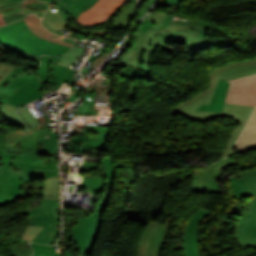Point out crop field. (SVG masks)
<instances>
[{
    "instance_id": "crop-field-1",
    "label": "crop field",
    "mask_w": 256,
    "mask_h": 256,
    "mask_svg": "<svg viewBox=\"0 0 256 256\" xmlns=\"http://www.w3.org/2000/svg\"><path fill=\"white\" fill-rule=\"evenodd\" d=\"M254 73H256V58L229 62L217 69H214L209 73L208 88L173 107L170 115L176 116L179 114L196 121H209L224 116L237 119L240 124L235 129L228 141L224 153V157H226L231 154L233 145L254 107L225 103L223 112L195 110L199 108L203 103H210L214 90L220 79L227 81Z\"/></svg>"
},
{
    "instance_id": "crop-field-2",
    "label": "crop field",
    "mask_w": 256,
    "mask_h": 256,
    "mask_svg": "<svg viewBox=\"0 0 256 256\" xmlns=\"http://www.w3.org/2000/svg\"><path fill=\"white\" fill-rule=\"evenodd\" d=\"M212 30L197 25H168L161 30H154L148 34H137V43L126 52L120 62L113 64H130L137 69L151 75L149 61L155 48L161 44L186 42L193 39L206 37V31Z\"/></svg>"
},
{
    "instance_id": "crop-field-3",
    "label": "crop field",
    "mask_w": 256,
    "mask_h": 256,
    "mask_svg": "<svg viewBox=\"0 0 256 256\" xmlns=\"http://www.w3.org/2000/svg\"><path fill=\"white\" fill-rule=\"evenodd\" d=\"M57 163L58 161L2 153L0 156V175L1 177L10 176L13 187L8 196L0 195V206L15 201L20 193L21 183L57 175Z\"/></svg>"
},
{
    "instance_id": "crop-field-4",
    "label": "crop field",
    "mask_w": 256,
    "mask_h": 256,
    "mask_svg": "<svg viewBox=\"0 0 256 256\" xmlns=\"http://www.w3.org/2000/svg\"><path fill=\"white\" fill-rule=\"evenodd\" d=\"M234 176L245 180L246 187L254 198L245 205L234 202L230 206L227 213L241 217L233 231V238L242 248H256V169L239 172Z\"/></svg>"
},
{
    "instance_id": "crop-field-5",
    "label": "crop field",
    "mask_w": 256,
    "mask_h": 256,
    "mask_svg": "<svg viewBox=\"0 0 256 256\" xmlns=\"http://www.w3.org/2000/svg\"><path fill=\"white\" fill-rule=\"evenodd\" d=\"M0 45L11 52L20 47L39 56L62 55L70 49L35 36L24 20L0 28Z\"/></svg>"
},
{
    "instance_id": "crop-field-6",
    "label": "crop field",
    "mask_w": 256,
    "mask_h": 256,
    "mask_svg": "<svg viewBox=\"0 0 256 256\" xmlns=\"http://www.w3.org/2000/svg\"><path fill=\"white\" fill-rule=\"evenodd\" d=\"M104 219L101 217L80 218L79 224L65 234V256L90 254L98 239Z\"/></svg>"
},
{
    "instance_id": "crop-field-7",
    "label": "crop field",
    "mask_w": 256,
    "mask_h": 256,
    "mask_svg": "<svg viewBox=\"0 0 256 256\" xmlns=\"http://www.w3.org/2000/svg\"><path fill=\"white\" fill-rule=\"evenodd\" d=\"M56 200H43L40 208L22 210V214H29L27 224L45 226L41 233L34 238V242L50 244L59 229L58 207Z\"/></svg>"
},
{
    "instance_id": "crop-field-8",
    "label": "crop field",
    "mask_w": 256,
    "mask_h": 256,
    "mask_svg": "<svg viewBox=\"0 0 256 256\" xmlns=\"http://www.w3.org/2000/svg\"><path fill=\"white\" fill-rule=\"evenodd\" d=\"M28 69L0 64V101L6 102L24 85L38 81L34 74L27 75Z\"/></svg>"
},
{
    "instance_id": "crop-field-9",
    "label": "crop field",
    "mask_w": 256,
    "mask_h": 256,
    "mask_svg": "<svg viewBox=\"0 0 256 256\" xmlns=\"http://www.w3.org/2000/svg\"><path fill=\"white\" fill-rule=\"evenodd\" d=\"M44 87L40 81L27 85L19 90L18 92L11 97L8 104L3 105L1 112L10 123L23 126L24 130L27 129V126L20 120L16 114V106H22L30 101L44 97L43 94L39 91Z\"/></svg>"
},
{
    "instance_id": "crop-field-10",
    "label": "crop field",
    "mask_w": 256,
    "mask_h": 256,
    "mask_svg": "<svg viewBox=\"0 0 256 256\" xmlns=\"http://www.w3.org/2000/svg\"><path fill=\"white\" fill-rule=\"evenodd\" d=\"M232 165L233 162L227 157L202 169L195 175L191 192L223 193L215 179Z\"/></svg>"
},
{
    "instance_id": "crop-field-11",
    "label": "crop field",
    "mask_w": 256,
    "mask_h": 256,
    "mask_svg": "<svg viewBox=\"0 0 256 256\" xmlns=\"http://www.w3.org/2000/svg\"><path fill=\"white\" fill-rule=\"evenodd\" d=\"M109 127L89 126L81 136L73 135L72 152L83 154L90 153V148L103 150L106 147V137L110 134Z\"/></svg>"
},
{
    "instance_id": "crop-field-12",
    "label": "crop field",
    "mask_w": 256,
    "mask_h": 256,
    "mask_svg": "<svg viewBox=\"0 0 256 256\" xmlns=\"http://www.w3.org/2000/svg\"><path fill=\"white\" fill-rule=\"evenodd\" d=\"M172 218L171 215L164 225L150 222L142 235L137 256H160L164 234Z\"/></svg>"
},
{
    "instance_id": "crop-field-13",
    "label": "crop field",
    "mask_w": 256,
    "mask_h": 256,
    "mask_svg": "<svg viewBox=\"0 0 256 256\" xmlns=\"http://www.w3.org/2000/svg\"><path fill=\"white\" fill-rule=\"evenodd\" d=\"M225 102L256 106V74L231 81Z\"/></svg>"
},
{
    "instance_id": "crop-field-14",
    "label": "crop field",
    "mask_w": 256,
    "mask_h": 256,
    "mask_svg": "<svg viewBox=\"0 0 256 256\" xmlns=\"http://www.w3.org/2000/svg\"><path fill=\"white\" fill-rule=\"evenodd\" d=\"M211 213L199 208L187 223L184 232V253L185 256H200L198 228L203 219Z\"/></svg>"
},
{
    "instance_id": "crop-field-15",
    "label": "crop field",
    "mask_w": 256,
    "mask_h": 256,
    "mask_svg": "<svg viewBox=\"0 0 256 256\" xmlns=\"http://www.w3.org/2000/svg\"><path fill=\"white\" fill-rule=\"evenodd\" d=\"M123 1L124 0H99L92 8L80 14L78 19H75L84 25L102 23Z\"/></svg>"
},
{
    "instance_id": "crop-field-16",
    "label": "crop field",
    "mask_w": 256,
    "mask_h": 256,
    "mask_svg": "<svg viewBox=\"0 0 256 256\" xmlns=\"http://www.w3.org/2000/svg\"><path fill=\"white\" fill-rule=\"evenodd\" d=\"M47 103H49V101ZM37 118L42 123L39 128L38 138H37V144L39 147L40 154H49L54 157V158H49V159L59 160L58 135L51 134L50 128L48 127V125L47 126L43 125V124H47L50 122L49 118L46 114L41 117H37ZM46 135H48V139H45Z\"/></svg>"
},
{
    "instance_id": "crop-field-17",
    "label": "crop field",
    "mask_w": 256,
    "mask_h": 256,
    "mask_svg": "<svg viewBox=\"0 0 256 256\" xmlns=\"http://www.w3.org/2000/svg\"><path fill=\"white\" fill-rule=\"evenodd\" d=\"M56 8V11H51V8ZM72 17L69 16L66 12L60 9V7L56 6L55 4H52L47 13L45 14L42 24L43 26L55 33L57 31H61L62 29L68 27L67 22L71 19Z\"/></svg>"
},
{
    "instance_id": "crop-field-18",
    "label": "crop field",
    "mask_w": 256,
    "mask_h": 256,
    "mask_svg": "<svg viewBox=\"0 0 256 256\" xmlns=\"http://www.w3.org/2000/svg\"><path fill=\"white\" fill-rule=\"evenodd\" d=\"M39 126L40 125L30 127V130L23 134L20 145L22 155L38 157L39 152L36 144V138Z\"/></svg>"
},
{
    "instance_id": "crop-field-19",
    "label": "crop field",
    "mask_w": 256,
    "mask_h": 256,
    "mask_svg": "<svg viewBox=\"0 0 256 256\" xmlns=\"http://www.w3.org/2000/svg\"><path fill=\"white\" fill-rule=\"evenodd\" d=\"M74 72L75 70L51 63L50 80L48 81L51 85L49 87L58 90L63 80L73 83L72 75Z\"/></svg>"
},
{
    "instance_id": "crop-field-20",
    "label": "crop field",
    "mask_w": 256,
    "mask_h": 256,
    "mask_svg": "<svg viewBox=\"0 0 256 256\" xmlns=\"http://www.w3.org/2000/svg\"><path fill=\"white\" fill-rule=\"evenodd\" d=\"M98 0H80L75 3L74 0H55L60 7H62L69 14L78 17V15L90 7H92Z\"/></svg>"
},
{
    "instance_id": "crop-field-21",
    "label": "crop field",
    "mask_w": 256,
    "mask_h": 256,
    "mask_svg": "<svg viewBox=\"0 0 256 256\" xmlns=\"http://www.w3.org/2000/svg\"><path fill=\"white\" fill-rule=\"evenodd\" d=\"M229 84L220 80L210 105L203 104L198 110L222 111Z\"/></svg>"
},
{
    "instance_id": "crop-field-22",
    "label": "crop field",
    "mask_w": 256,
    "mask_h": 256,
    "mask_svg": "<svg viewBox=\"0 0 256 256\" xmlns=\"http://www.w3.org/2000/svg\"><path fill=\"white\" fill-rule=\"evenodd\" d=\"M25 22L27 23L28 27L32 30V32L34 34H36L37 36L44 38L46 40L49 41H53L56 42L58 44H62V45H66V46H70L72 47V44H68V43H64L61 41H58L56 39L51 38L53 34H51L50 32L46 31L40 24V18H38L35 15H29L27 18L24 19Z\"/></svg>"
},
{
    "instance_id": "crop-field-23",
    "label": "crop field",
    "mask_w": 256,
    "mask_h": 256,
    "mask_svg": "<svg viewBox=\"0 0 256 256\" xmlns=\"http://www.w3.org/2000/svg\"><path fill=\"white\" fill-rule=\"evenodd\" d=\"M136 3H131L124 11L116 14L111 29H129L131 19L135 15Z\"/></svg>"
},
{
    "instance_id": "crop-field-24",
    "label": "crop field",
    "mask_w": 256,
    "mask_h": 256,
    "mask_svg": "<svg viewBox=\"0 0 256 256\" xmlns=\"http://www.w3.org/2000/svg\"><path fill=\"white\" fill-rule=\"evenodd\" d=\"M256 148V127L242 132L234 153Z\"/></svg>"
},
{
    "instance_id": "crop-field-25",
    "label": "crop field",
    "mask_w": 256,
    "mask_h": 256,
    "mask_svg": "<svg viewBox=\"0 0 256 256\" xmlns=\"http://www.w3.org/2000/svg\"><path fill=\"white\" fill-rule=\"evenodd\" d=\"M102 163L104 165V171L106 172V176H107L106 184H107L108 190L107 192L103 193L101 199L104 201H109V197L112 190V183H113L115 168L111 158H102Z\"/></svg>"
},
{
    "instance_id": "crop-field-26",
    "label": "crop field",
    "mask_w": 256,
    "mask_h": 256,
    "mask_svg": "<svg viewBox=\"0 0 256 256\" xmlns=\"http://www.w3.org/2000/svg\"><path fill=\"white\" fill-rule=\"evenodd\" d=\"M228 186L232 197H238V199H240L249 196L245 187V183L241 179L233 176L230 177L228 179Z\"/></svg>"
},
{
    "instance_id": "crop-field-27",
    "label": "crop field",
    "mask_w": 256,
    "mask_h": 256,
    "mask_svg": "<svg viewBox=\"0 0 256 256\" xmlns=\"http://www.w3.org/2000/svg\"><path fill=\"white\" fill-rule=\"evenodd\" d=\"M63 56H60V57L42 56V65L40 66L36 74L42 80L43 83L49 79L50 62L57 64L62 59Z\"/></svg>"
},
{
    "instance_id": "crop-field-28",
    "label": "crop field",
    "mask_w": 256,
    "mask_h": 256,
    "mask_svg": "<svg viewBox=\"0 0 256 256\" xmlns=\"http://www.w3.org/2000/svg\"><path fill=\"white\" fill-rule=\"evenodd\" d=\"M22 134V132H8L5 153L21 155L19 145Z\"/></svg>"
},
{
    "instance_id": "crop-field-29",
    "label": "crop field",
    "mask_w": 256,
    "mask_h": 256,
    "mask_svg": "<svg viewBox=\"0 0 256 256\" xmlns=\"http://www.w3.org/2000/svg\"><path fill=\"white\" fill-rule=\"evenodd\" d=\"M48 6V3L27 0L24 4L23 12H25L26 14L36 13L37 15L42 17L45 14V10Z\"/></svg>"
},
{
    "instance_id": "crop-field-30",
    "label": "crop field",
    "mask_w": 256,
    "mask_h": 256,
    "mask_svg": "<svg viewBox=\"0 0 256 256\" xmlns=\"http://www.w3.org/2000/svg\"><path fill=\"white\" fill-rule=\"evenodd\" d=\"M47 185L43 199H59V177L46 178Z\"/></svg>"
},
{
    "instance_id": "crop-field-31",
    "label": "crop field",
    "mask_w": 256,
    "mask_h": 256,
    "mask_svg": "<svg viewBox=\"0 0 256 256\" xmlns=\"http://www.w3.org/2000/svg\"><path fill=\"white\" fill-rule=\"evenodd\" d=\"M28 240L19 239V244L12 245V254L11 256H30L32 249L29 245Z\"/></svg>"
},
{
    "instance_id": "crop-field-32",
    "label": "crop field",
    "mask_w": 256,
    "mask_h": 256,
    "mask_svg": "<svg viewBox=\"0 0 256 256\" xmlns=\"http://www.w3.org/2000/svg\"><path fill=\"white\" fill-rule=\"evenodd\" d=\"M214 43H216V42H214L212 39L207 37V38H202V39L186 42L185 44H186L189 51L195 53V52H197L201 49H204V48H206V47H208V46H210Z\"/></svg>"
},
{
    "instance_id": "crop-field-33",
    "label": "crop field",
    "mask_w": 256,
    "mask_h": 256,
    "mask_svg": "<svg viewBox=\"0 0 256 256\" xmlns=\"http://www.w3.org/2000/svg\"><path fill=\"white\" fill-rule=\"evenodd\" d=\"M5 141H6V136H2L0 133V153L5 150ZM12 187V182L9 177L5 178H0V194H6L8 195L10 189Z\"/></svg>"
},
{
    "instance_id": "crop-field-34",
    "label": "crop field",
    "mask_w": 256,
    "mask_h": 256,
    "mask_svg": "<svg viewBox=\"0 0 256 256\" xmlns=\"http://www.w3.org/2000/svg\"><path fill=\"white\" fill-rule=\"evenodd\" d=\"M84 47L74 46L63 59L58 63L59 65H63L68 67L74 60H76L83 52Z\"/></svg>"
},
{
    "instance_id": "crop-field-35",
    "label": "crop field",
    "mask_w": 256,
    "mask_h": 256,
    "mask_svg": "<svg viewBox=\"0 0 256 256\" xmlns=\"http://www.w3.org/2000/svg\"><path fill=\"white\" fill-rule=\"evenodd\" d=\"M85 99H84V103L81 104L79 106V109L80 110H76L77 113H75L74 115L76 114H95L93 108H92V94H85Z\"/></svg>"
},
{
    "instance_id": "crop-field-36",
    "label": "crop field",
    "mask_w": 256,
    "mask_h": 256,
    "mask_svg": "<svg viewBox=\"0 0 256 256\" xmlns=\"http://www.w3.org/2000/svg\"><path fill=\"white\" fill-rule=\"evenodd\" d=\"M85 180L80 187H87L89 189L101 191L103 186L102 178L99 177H84Z\"/></svg>"
},
{
    "instance_id": "crop-field-37",
    "label": "crop field",
    "mask_w": 256,
    "mask_h": 256,
    "mask_svg": "<svg viewBox=\"0 0 256 256\" xmlns=\"http://www.w3.org/2000/svg\"><path fill=\"white\" fill-rule=\"evenodd\" d=\"M119 76L123 77V78H126L128 80H132V79H135V78H146V77H150L144 73H141L139 72L138 70L132 68V67H129L127 66L120 74Z\"/></svg>"
},
{
    "instance_id": "crop-field-38",
    "label": "crop field",
    "mask_w": 256,
    "mask_h": 256,
    "mask_svg": "<svg viewBox=\"0 0 256 256\" xmlns=\"http://www.w3.org/2000/svg\"><path fill=\"white\" fill-rule=\"evenodd\" d=\"M20 117L25 121L27 122L30 126H33V125H37L39 124L40 122L38 121L37 118H35V116L32 114V112L28 109V108H21L19 111H18Z\"/></svg>"
},
{
    "instance_id": "crop-field-39",
    "label": "crop field",
    "mask_w": 256,
    "mask_h": 256,
    "mask_svg": "<svg viewBox=\"0 0 256 256\" xmlns=\"http://www.w3.org/2000/svg\"><path fill=\"white\" fill-rule=\"evenodd\" d=\"M35 253H45V256H56L53 246L31 243Z\"/></svg>"
},
{
    "instance_id": "crop-field-40",
    "label": "crop field",
    "mask_w": 256,
    "mask_h": 256,
    "mask_svg": "<svg viewBox=\"0 0 256 256\" xmlns=\"http://www.w3.org/2000/svg\"><path fill=\"white\" fill-rule=\"evenodd\" d=\"M164 17H165L164 14H149V15H147L146 18L142 21V23L154 21V27L149 30H146L145 33L152 31L154 29H158L160 24L162 23Z\"/></svg>"
},
{
    "instance_id": "crop-field-41",
    "label": "crop field",
    "mask_w": 256,
    "mask_h": 256,
    "mask_svg": "<svg viewBox=\"0 0 256 256\" xmlns=\"http://www.w3.org/2000/svg\"><path fill=\"white\" fill-rule=\"evenodd\" d=\"M41 229L42 227H39V226L26 225L24 229L25 232L22 234L20 238H24L32 241L33 238L40 233Z\"/></svg>"
},
{
    "instance_id": "crop-field-42",
    "label": "crop field",
    "mask_w": 256,
    "mask_h": 256,
    "mask_svg": "<svg viewBox=\"0 0 256 256\" xmlns=\"http://www.w3.org/2000/svg\"><path fill=\"white\" fill-rule=\"evenodd\" d=\"M23 1L7 4L0 6V11L3 14H9V13H15V12H20L22 9Z\"/></svg>"
},
{
    "instance_id": "crop-field-43",
    "label": "crop field",
    "mask_w": 256,
    "mask_h": 256,
    "mask_svg": "<svg viewBox=\"0 0 256 256\" xmlns=\"http://www.w3.org/2000/svg\"><path fill=\"white\" fill-rule=\"evenodd\" d=\"M153 2H154V0H139V3H138V15L136 17L135 24L147 12V10L151 7Z\"/></svg>"
},
{
    "instance_id": "crop-field-44",
    "label": "crop field",
    "mask_w": 256,
    "mask_h": 256,
    "mask_svg": "<svg viewBox=\"0 0 256 256\" xmlns=\"http://www.w3.org/2000/svg\"><path fill=\"white\" fill-rule=\"evenodd\" d=\"M15 52L24 56V57H26V58H28V59H30V60H32V61H34V62H37L40 65V57L39 56L28 53V52H26V51H24L20 48L18 50H16Z\"/></svg>"
},
{
    "instance_id": "crop-field-45",
    "label": "crop field",
    "mask_w": 256,
    "mask_h": 256,
    "mask_svg": "<svg viewBox=\"0 0 256 256\" xmlns=\"http://www.w3.org/2000/svg\"><path fill=\"white\" fill-rule=\"evenodd\" d=\"M177 17V16H175ZM171 24H198V25H205L204 23H201V22H195V21H190V20H187V19H183V18H180V17H177V19L173 22H170Z\"/></svg>"
},
{
    "instance_id": "crop-field-46",
    "label": "crop field",
    "mask_w": 256,
    "mask_h": 256,
    "mask_svg": "<svg viewBox=\"0 0 256 256\" xmlns=\"http://www.w3.org/2000/svg\"><path fill=\"white\" fill-rule=\"evenodd\" d=\"M108 202H103V201H100L94 215L95 216H100V214L103 212L104 208L106 207ZM109 204V203H108ZM93 215V214H92Z\"/></svg>"
},
{
    "instance_id": "crop-field-47",
    "label": "crop field",
    "mask_w": 256,
    "mask_h": 256,
    "mask_svg": "<svg viewBox=\"0 0 256 256\" xmlns=\"http://www.w3.org/2000/svg\"><path fill=\"white\" fill-rule=\"evenodd\" d=\"M129 99H136V85L130 81Z\"/></svg>"
},
{
    "instance_id": "crop-field-48",
    "label": "crop field",
    "mask_w": 256,
    "mask_h": 256,
    "mask_svg": "<svg viewBox=\"0 0 256 256\" xmlns=\"http://www.w3.org/2000/svg\"><path fill=\"white\" fill-rule=\"evenodd\" d=\"M255 126H256V109H255V111H254V113H253L251 119L249 120V122H248V124H247L245 129H248V128H251V127H255Z\"/></svg>"
},
{
    "instance_id": "crop-field-49",
    "label": "crop field",
    "mask_w": 256,
    "mask_h": 256,
    "mask_svg": "<svg viewBox=\"0 0 256 256\" xmlns=\"http://www.w3.org/2000/svg\"><path fill=\"white\" fill-rule=\"evenodd\" d=\"M181 0H163L160 7L163 6H171V5H177L180 3Z\"/></svg>"
},
{
    "instance_id": "crop-field-50",
    "label": "crop field",
    "mask_w": 256,
    "mask_h": 256,
    "mask_svg": "<svg viewBox=\"0 0 256 256\" xmlns=\"http://www.w3.org/2000/svg\"><path fill=\"white\" fill-rule=\"evenodd\" d=\"M151 27H153V22L142 24V27L139 32H144L146 29L151 28Z\"/></svg>"
},
{
    "instance_id": "crop-field-51",
    "label": "crop field",
    "mask_w": 256,
    "mask_h": 256,
    "mask_svg": "<svg viewBox=\"0 0 256 256\" xmlns=\"http://www.w3.org/2000/svg\"><path fill=\"white\" fill-rule=\"evenodd\" d=\"M171 19H172L171 15H166V17H165V19H164V21H163V23H162V25H161L160 28H163L164 26H166L167 24H169V22L171 21Z\"/></svg>"
},
{
    "instance_id": "crop-field-52",
    "label": "crop field",
    "mask_w": 256,
    "mask_h": 256,
    "mask_svg": "<svg viewBox=\"0 0 256 256\" xmlns=\"http://www.w3.org/2000/svg\"><path fill=\"white\" fill-rule=\"evenodd\" d=\"M53 38H56V39L61 40V41H65V42L73 43V44L75 43V41H73V40L66 39V38H62V37L55 36V35H53Z\"/></svg>"
},
{
    "instance_id": "crop-field-53",
    "label": "crop field",
    "mask_w": 256,
    "mask_h": 256,
    "mask_svg": "<svg viewBox=\"0 0 256 256\" xmlns=\"http://www.w3.org/2000/svg\"><path fill=\"white\" fill-rule=\"evenodd\" d=\"M78 34L69 32L65 37L76 40L78 38Z\"/></svg>"
},
{
    "instance_id": "crop-field-54",
    "label": "crop field",
    "mask_w": 256,
    "mask_h": 256,
    "mask_svg": "<svg viewBox=\"0 0 256 256\" xmlns=\"http://www.w3.org/2000/svg\"><path fill=\"white\" fill-rule=\"evenodd\" d=\"M72 89L76 90V92L74 93L73 97L71 99H69V101H71V102L79 95V93L81 91L80 89H77L74 87H72Z\"/></svg>"
},
{
    "instance_id": "crop-field-55",
    "label": "crop field",
    "mask_w": 256,
    "mask_h": 256,
    "mask_svg": "<svg viewBox=\"0 0 256 256\" xmlns=\"http://www.w3.org/2000/svg\"><path fill=\"white\" fill-rule=\"evenodd\" d=\"M14 1H18V0H0V5L5 4V3H9V2H14ZM45 1L53 2L54 0H45Z\"/></svg>"
},
{
    "instance_id": "crop-field-56",
    "label": "crop field",
    "mask_w": 256,
    "mask_h": 256,
    "mask_svg": "<svg viewBox=\"0 0 256 256\" xmlns=\"http://www.w3.org/2000/svg\"><path fill=\"white\" fill-rule=\"evenodd\" d=\"M1 25H5V23H4V20H3V18H2V15H1V13H0V26Z\"/></svg>"
},
{
    "instance_id": "crop-field-57",
    "label": "crop field",
    "mask_w": 256,
    "mask_h": 256,
    "mask_svg": "<svg viewBox=\"0 0 256 256\" xmlns=\"http://www.w3.org/2000/svg\"><path fill=\"white\" fill-rule=\"evenodd\" d=\"M43 92V94H46V93H50V92H54L53 90H51V89H47V90H45V91H42Z\"/></svg>"
},
{
    "instance_id": "crop-field-58",
    "label": "crop field",
    "mask_w": 256,
    "mask_h": 256,
    "mask_svg": "<svg viewBox=\"0 0 256 256\" xmlns=\"http://www.w3.org/2000/svg\"><path fill=\"white\" fill-rule=\"evenodd\" d=\"M32 256H44V254H35V253H33Z\"/></svg>"
},
{
    "instance_id": "crop-field-59",
    "label": "crop field",
    "mask_w": 256,
    "mask_h": 256,
    "mask_svg": "<svg viewBox=\"0 0 256 256\" xmlns=\"http://www.w3.org/2000/svg\"><path fill=\"white\" fill-rule=\"evenodd\" d=\"M247 2L256 4V0H248Z\"/></svg>"
},
{
    "instance_id": "crop-field-60",
    "label": "crop field",
    "mask_w": 256,
    "mask_h": 256,
    "mask_svg": "<svg viewBox=\"0 0 256 256\" xmlns=\"http://www.w3.org/2000/svg\"><path fill=\"white\" fill-rule=\"evenodd\" d=\"M126 1H130V2H136V0H126Z\"/></svg>"
},
{
    "instance_id": "crop-field-61",
    "label": "crop field",
    "mask_w": 256,
    "mask_h": 256,
    "mask_svg": "<svg viewBox=\"0 0 256 256\" xmlns=\"http://www.w3.org/2000/svg\"><path fill=\"white\" fill-rule=\"evenodd\" d=\"M0 130H2L1 127H0Z\"/></svg>"
}]
</instances>
